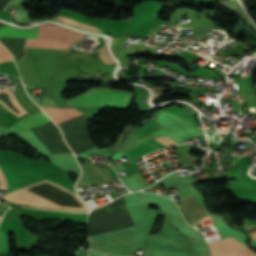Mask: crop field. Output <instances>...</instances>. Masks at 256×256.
<instances>
[{
    "instance_id": "18",
    "label": "crop field",
    "mask_w": 256,
    "mask_h": 256,
    "mask_svg": "<svg viewBox=\"0 0 256 256\" xmlns=\"http://www.w3.org/2000/svg\"><path fill=\"white\" fill-rule=\"evenodd\" d=\"M251 234H252L253 238H256V232H252Z\"/></svg>"
},
{
    "instance_id": "10",
    "label": "crop field",
    "mask_w": 256,
    "mask_h": 256,
    "mask_svg": "<svg viewBox=\"0 0 256 256\" xmlns=\"http://www.w3.org/2000/svg\"><path fill=\"white\" fill-rule=\"evenodd\" d=\"M135 233V226L91 237L92 243Z\"/></svg>"
},
{
    "instance_id": "15",
    "label": "crop field",
    "mask_w": 256,
    "mask_h": 256,
    "mask_svg": "<svg viewBox=\"0 0 256 256\" xmlns=\"http://www.w3.org/2000/svg\"><path fill=\"white\" fill-rule=\"evenodd\" d=\"M42 105H46V106H55L54 101L48 100V99H45V98H44V100H43V102H42Z\"/></svg>"
},
{
    "instance_id": "13",
    "label": "crop field",
    "mask_w": 256,
    "mask_h": 256,
    "mask_svg": "<svg viewBox=\"0 0 256 256\" xmlns=\"http://www.w3.org/2000/svg\"><path fill=\"white\" fill-rule=\"evenodd\" d=\"M13 60L10 53L0 44V63L3 61Z\"/></svg>"
},
{
    "instance_id": "20",
    "label": "crop field",
    "mask_w": 256,
    "mask_h": 256,
    "mask_svg": "<svg viewBox=\"0 0 256 256\" xmlns=\"http://www.w3.org/2000/svg\"><path fill=\"white\" fill-rule=\"evenodd\" d=\"M13 92V91H12ZM14 96V95H13ZM21 105V104H20ZM22 106V105H21ZM23 107V106H22Z\"/></svg>"
},
{
    "instance_id": "3",
    "label": "crop field",
    "mask_w": 256,
    "mask_h": 256,
    "mask_svg": "<svg viewBox=\"0 0 256 256\" xmlns=\"http://www.w3.org/2000/svg\"><path fill=\"white\" fill-rule=\"evenodd\" d=\"M212 256H256L233 238L229 237L221 241L209 243Z\"/></svg>"
},
{
    "instance_id": "4",
    "label": "crop field",
    "mask_w": 256,
    "mask_h": 256,
    "mask_svg": "<svg viewBox=\"0 0 256 256\" xmlns=\"http://www.w3.org/2000/svg\"><path fill=\"white\" fill-rule=\"evenodd\" d=\"M179 206L186 213L192 225L209 217L194 195L188 194Z\"/></svg>"
},
{
    "instance_id": "11",
    "label": "crop field",
    "mask_w": 256,
    "mask_h": 256,
    "mask_svg": "<svg viewBox=\"0 0 256 256\" xmlns=\"http://www.w3.org/2000/svg\"><path fill=\"white\" fill-rule=\"evenodd\" d=\"M53 19H56L60 22H63V23H66V24H69V25H72L74 27H77V28H80V29H84V30H90V31H96V32H101L100 30L92 27V26H89L87 24H83V23H79L77 21H74V20H70V19H67L65 17H62V16H58L56 18H53ZM102 33V32H101Z\"/></svg>"
},
{
    "instance_id": "12",
    "label": "crop field",
    "mask_w": 256,
    "mask_h": 256,
    "mask_svg": "<svg viewBox=\"0 0 256 256\" xmlns=\"http://www.w3.org/2000/svg\"><path fill=\"white\" fill-rule=\"evenodd\" d=\"M9 250L7 234L0 230V251Z\"/></svg>"
},
{
    "instance_id": "16",
    "label": "crop field",
    "mask_w": 256,
    "mask_h": 256,
    "mask_svg": "<svg viewBox=\"0 0 256 256\" xmlns=\"http://www.w3.org/2000/svg\"><path fill=\"white\" fill-rule=\"evenodd\" d=\"M29 94V93H28ZM29 96L37 103V104H39V100L34 96V95H32V94H29Z\"/></svg>"
},
{
    "instance_id": "5",
    "label": "crop field",
    "mask_w": 256,
    "mask_h": 256,
    "mask_svg": "<svg viewBox=\"0 0 256 256\" xmlns=\"http://www.w3.org/2000/svg\"><path fill=\"white\" fill-rule=\"evenodd\" d=\"M7 168L10 174L9 189L15 190L27 185L28 171L9 167ZM42 179H44V175L29 171L28 185Z\"/></svg>"
},
{
    "instance_id": "14",
    "label": "crop field",
    "mask_w": 256,
    "mask_h": 256,
    "mask_svg": "<svg viewBox=\"0 0 256 256\" xmlns=\"http://www.w3.org/2000/svg\"><path fill=\"white\" fill-rule=\"evenodd\" d=\"M98 52L102 55V57H103L105 63L113 62V60L108 56V54H107L105 48L101 49V50L98 51ZM100 54H99V55H100ZM100 57H101V56H100ZM101 59H102V58H101Z\"/></svg>"
},
{
    "instance_id": "19",
    "label": "crop field",
    "mask_w": 256,
    "mask_h": 256,
    "mask_svg": "<svg viewBox=\"0 0 256 256\" xmlns=\"http://www.w3.org/2000/svg\"><path fill=\"white\" fill-rule=\"evenodd\" d=\"M199 256H211L210 254H204V255H199Z\"/></svg>"
},
{
    "instance_id": "7",
    "label": "crop field",
    "mask_w": 256,
    "mask_h": 256,
    "mask_svg": "<svg viewBox=\"0 0 256 256\" xmlns=\"http://www.w3.org/2000/svg\"><path fill=\"white\" fill-rule=\"evenodd\" d=\"M47 114L48 116L56 123H60L72 118H75L77 116L83 115L82 113L78 112L77 110L73 109V108H67V109H59V108H52L57 115L62 119H60L56 113L50 108V107H44V106H40Z\"/></svg>"
},
{
    "instance_id": "1",
    "label": "crop field",
    "mask_w": 256,
    "mask_h": 256,
    "mask_svg": "<svg viewBox=\"0 0 256 256\" xmlns=\"http://www.w3.org/2000/svg\"><path fill=\"white\" fill-rule=\"evenodd\" d=\"M130 98L131 94L120 91L93 89L80 97L69 100L67 104L125 109L129 105Z\"/></svg>"
},
{
    "instance_id": "17",
    "label": "crop field",
    "mask_w": 256,
    "mask_h": 256,
    "mask_svg": "<svg viewBox=\"0 0 256 256\" xmlns=\"http://www.w3.org/2000/svg\"><path fill=\"white\" fill-rule=\"evenodd\" d=\"M89 256H106V255H102V254L90 252V253H89Z\"/></svg>"
},
{
    "instance_id": "2",
    "label": "crop field",
    "mask_w": 256,
    "mask_h": 256,
    "mask_svg": "<svg viewBox=\"0 0 256 256\" xmlns=\"http://www.w3.org/2000/svg\"><path fill=\"white\" fill-rule=\"evenodd\" d=\"M39 28H53L63 32H67L77 36H84V33L68 30L64 27L53 25V24H41ZM52 29H39L38 38L53 39L69 44L74 43L80 37H76L67 33H63ZM44 39H28L27 47H44V48H59V49H70V45L62 42Z\"/></svg>"
},
{
    "instance_id": "21",
    "label": "crop field",
    "mask_w": 256,
    "mask_h": 256,
    "mask_svg": "<svg viewBox=\"0 0 256 256\" xmlns=\"http://www.w3.org/2000/svg\"><path fill=\"white\" fill-rule=\"evenodd\" d=\"M3 216V215H2ZM0 217H1V215H0Z\"/></svg>"
},
{
    "instance_id": "8",
    "label": "crop field",
    "mask_w": 256,
    "mask_h": 256,
    "mask_svg": "<svg viewBox=\"0 0 256 256\" xmlns=\"http://www.w3.org/2000/svg\"><path fill=\"white\" fill-rule=\"evenodd\" d=\"M38 27L20 30L11 26H4L0 28V37H17V38H37Z\"/></svg>"
},
{
    "instance_id": "9",
    "label": "crop field",
    "mask_w": 256,
    "mask_h": 256,
    "mask_svg": "<svg viewBox=\"0 0 256 256\" xmlns=\"http://www.w3.org/2000/svg\"><path fill=\"white\" fill-rule=\"evenodd\" d=\"M147 141L138 144L137 146L130 150L122 151L121 153L124 154L131 161L139 156L148 154L152 151L159 149Z\"/></svg>"
},
{
    "instance_id": "6",
    "label": "crop field",
    "mask_w": 256,
    "mask_h": 256,
    "mask_svg": "<svg viewBox=\"0 0 256 256\" xmlns=\"http://www.w3.org/2000/svg\"><path fill=\"white\" fill-rule=\"evenodd\" d=\"M51 121L42 111L27 116L23 119H21L19 122L15 123L14 125L10 126L12 131L25 129V128H31L36 126H41Z\"/></svg>"
}]
</instances>
